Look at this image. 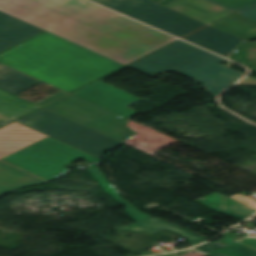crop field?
<instances>
[{
  "label": "crop field",
  "mask_w": 256,
  "mask_h": 256,
  "mask_svg": "<svg viewBox=\"0 0 256 256\" xmlns=\"http://www.w3.org/2000/svg\"><path fill=\"white\" fill-rule=\"evenodd\" d=\"M209 254L214 256H256V251L236 242L226 248Z\"/></svg>",
  "instance_id": "obj_20"
},
{
  "label": "crop field",
  "mask_w": 256,
  "mask_h": 256,
  "mask_svg": "<svg viewBox=\"0 0 256 256\" xmlns=\"http://www.w3.org/2000/svg\"><path fill=\"white\" fill-rule=\"evenodd\" d=\"M0 10L124 65L177 40L84 0H0Z\"/></svg>",
  "instance_id": "obj_1"
},
{
  "label": "crop field",
  "mask_w": 256,
  "mask_h": 256,
  "mask_svg": "<svg viewBox=\"0 0 256 256\" xmlns=\"http://www.w3.org/2000/svg\"><path fill=\"white\" fill-rule=\"evenodd\" d=\"M254 217H256V216H254Z\"/></svg>",
  "instance_id": "obj_30"
},
{
  "label": "crop field",
  "mask_w": 256,
  "mask_h": 256,
  "mask_svg": "<svg viewBox=\"0 0 256 256\" xmlns=\"http://www.w3.org/2000/svg\"><path fill=\"white\" fill-rule=\"evenodd\" d=\"M128 67L146 73L156 78L157 73L176 71L191 79L197 80L203 83L208 91L213 95L218 94L226 89L228 86L217 82L209 77H206L200 73H197L189 68H186L180 64L170 61L164 57H161L155 53L129 65Z\"/></svg>",
  "instance_id": "obj_10"
},
{
  "label": "crop field",
  "mask_w": 256,
  "mask_h": 256,
  "mask_svg": "<svg viewBox=\"0 0 256 256\" xmlns=\"http://www.w3.org/2000/svg\"><path fill=\"white\" fill-rule=\"evenodd\" d=\"M211 26L238 36L246 41L256 39V21L248 19L237 13L211 24ZM249 29H252L253 31Z\"/></svg>",
  "instance_id": "obj_14"
},
{
  "label": "crop field",
  "mask_w": 256,
  "mask_h": 256,
  "mask_svg": "<svg viewBox=\"0 0 256 256\" xmlns=\"http://www.w3.org/2000/svg\"><path fill=\"white\" fill-rule=\"evenodd\" d=\"M72 95L126 118L136 115V111L127 106L142 100L101 81H97Z\"/></svg>",
  "instance_id": "obj_9"
},
{
  "label": "crop field",
  "mask_w": 256,
  "mask_h": 256,
  "mask_svg": "<svg viewBox=\"0 0 256 256\" xmlns=\"http://www.w3.org/2000/svg\"><path fill=\"white\" fill-rule=\"evenodd\" d=\"M180 38L206 26L149 0H93Z\"/></svg>",
  "instance_id": "obj_5"
},
{
  "label": "crop field",
  "mask_w": 256,
  "mask_h": 256,
  "mask_svg": "<svg viewBox=\"0 0 256 256\" xmlns=\"http://www.w3.org/2000/svg\"><path fill=\"white\" fill-rule=\"evenodd\" d=\"M17 122L98 158L123 144L44 108Z\"/></svg>",
  "instance_id": "obj_3"
},
{
  "label": "crop field",
  "mask_w": 256,
  "mask_h": 256,
  "mask_svg": "<svg viewBox=\"0 0 256 256\" xmlns=\"http://www.w3.org/2000/svg\"><path fill=\"white\" fill-rule=\"evenodd\" d=\"M44 108L120 142L137 133L126 126L129 119L123 117L119 118L116 114L108 112L72 95Z\"/></svg>",
  "instance_id": "obj_6"
},
{
  "label": "crop field",
  "mask_w": 256,
  "mask_h": 256,
  "mask_svg": "<svg viewBox=\"0 0 256 256\" xmlns=\"http://www.w3.org/2000/svg\"><path fill=\"white\" fill-rule=\"evenodd\" d=\"M81 157L93 163L101 161L94 156L48 137L2 160L46 180H51L69 171L64 166Z\"/></svg>",
  "instance_id": "obj_4"
},
{
  "label": "crop field",
  "mask_w": 256,
  "mask_h": 256,
  "mask_svg": "<svg viewBox=\"0 0 256 256\" xmlns=\"http://www.w3.org/2000/svg\"><path fill=\"white\" fill-rule=\"evenodd\" d=\"M184 39L204 47L212 52H215L221 56L231 52L244 41L240 38L217 30L211 26H208Z\"/></svg>",
  "instance_id": "obj_12"
},
{
  "label": "crop field",
  "mask_w": 256,
  "mask_h": 256,
  "mask_svg": "<svg viewBox=\"0 0 256 256\" xmlns=\"http://www.w3.org/2000/svg\"><path fill=\"white\" fill-rule=\"evenodd\" d=\"M41 82L0 63V89L18 95Z\"/></svg>",
  "instance_id": "obj_16"
},
{
  "label": "crop field",
  "mask_w": 256,
  "mask_h": 256,
  "mask_svg": "<svg viewBox=\"0 0 256 256\" xmlns=\"http://www.w3.org/2000/svg\"><path fill=\"white\" fill-rule=\"evenodd\" d=\"M237 13H239L241 15H244L246 17H249L253 20H256V7L251 8V9H247V10H243V11H239Z\"/></svg>",
  "instance_id": "obj_23"
},
{
  "label": "crop field",
  "mask_w": 256,
  "mask_h": 256,
  "mask_svg": "<svg viewBox=\"0 0 256 256\" xmlns=\"http://www.w3.org/2000/svg\"><path fill=\"white\" fill-rule=\"evenodd\" d=\"M233 11L256 5V0H209Z\"/></svg>",
  "instance_id": "obj_21"
},
{
  "label": "crop field",
  "mask_w": 256,
  "mask_h": 256,
  "mask_svg": "<svg viewBox=\"0 0 256 256\" xmlns=\"http://www.w3.org/2000/svg\"><path fill=\"white\" fill-rule=\"evenodd\" d=\"M0 61L67 92L124 66L48 31L0 55Z\"/></svg>",
  "instance_id": "obj_2"
},
{
  "label": "crop field",
  "mask_w": 256,
  "mask_h": 256,
  "mask_svg": "<svg viewBox=\"0 0 256 256\" xmlns=\"http://www.w3.org/2000/svg\"><path fill=\"white\" fill-rule=\"evenodd\" d=\"M40 107L0 90V114L12 120Z\"/></svg>",
  "instance_id": "obj_18"
},
{
  "label": "crop field",
  "mask_w": 256,
  "mask_h": 256,
  "mask_svg": "<svg viewBox=\"0 0 256 256\" xmlns=\"http://www.w3.org/2000/svg\"><path fill=\"white\" fill-rule=\"evenodd\" d=\"M226 246H228V245L217 241L214 244L208 243V244H205V245L198 246V247H196L194 249L195 250H199V251H203V252H206V253H209V252L218 250V249L226 247Z\"/></svg>",
  "instance_id": "obj_22"
},
{
  "label": "crop field",
  "mask_w": 256,
  "mask_h": 256,
  "mask_svg": "<svg viewBox=\"0 0 256 256\" xmlns=\"http://www.w3.org/2000/svg\"><path fill=\"white\" fill-rule=\"evenodd\" d=\"M241 242L246 244V245H248V246H250V247L256 248V239H249V238H247V239H245V240H243Z\"/></svg>",
  "instance_id": "obj_26"
},
{
  "label": "crop field",
  "mask_w": 256,
  "mask_h": 256,
  "mask_svg": "<svg viewBox=\"0 0 256 256\" xmlns=\"http://www.w3.org/2000/svg\"><path fill=\"white\" fill-rule=\"evenodd\" d=\"M155 53L209 76L228 86L244 75L218 64L225 59L181 40Z\"/></svg>",
  "instance_id": "obj_8"
},
{
  "label": "crop field",
  "mask_w": 256,
  "mask_h": 256,
  "mask_svg": "<svg viewBox=\"0 0 256 256\" xmlns=\"http://www.w3.org/2000/svg\"><path fill=\"white\" fill-rule=\"evenodd\" d=\"M88 170L93 174L99 184L104 188L106 193L112 195L117 201L126 205V211L131 215V217L135 221L145 220L151 218L147 214H144L127 200H125L122 196L119 195L114 186L110 183V181L105 177V175L101 172L97 165L88 168Z\"/></svg>",
  "instance_id": "obj_19"
},
{
  "label": "crop field",
  "mask_w": 256,
  "mask_h": 256,
  "mask_svg": "<svg viewBox=\"0 0 256 256\" xmlns=\"http://www.w3.org/2000/svg\"><path fill=\"white\" fill-rule=\"evenodd\" d=\"M67 93H64V92H61V93H59V94H57V95H55V96H53V97H51V98H49V99H47V100H45V101H43V102H41V103H39V104H37V105H39V106H44V105H46V104H48V103H50V102H52V101H54V100H56V99H58V98H60V97H62V96H64V95H66Z\"/></svg>",
  "instance_id": "obj_25"
},
{
  "label": "crop field",
  "mask_w": 256,
  "mask_h": 256,
  "mask_svg": "<svg viewBox=\"0 0 256 256\" xmlns=\"http://www.w3.org/2000/svg\"><path fill=\"white\" fill-rule=\"evenodd\" d=\"M43 31L0 11V53Z\"/></svg>",
  "instance_id": "obj_11"
},
{
  "label": "crop field",
  "mask_w": 256,
  "mask_h": 256,
  "mask_svg": "<svg viewBox=\"0 0 256 256\" xmlns=\"http://www.w3.org/2000/svg\"><path fill=\"white\" fill-rule=\"evenodd\" d=\"M188 252H194L191 249L186 250V251H182V252H178V253H172V254H165V255H160V256H180L182 254L188 253Z\"/></svg>",
  "instance_id": "obj_27"
},
{
  "label": "crop field",
  "mask_w": 256,
  "mask_h": 256,
  "mask_svg": "<svg viewBox=\"0 0 256 256\" xmlns=\"http://www.w3.org/2000/svg\"><path fill=\"white\" fill-rule=\"evenodd\" d=\"M164 6L207 24L233 12L207 0H174Z\"/></svg>",
  "instance_id": "obj_13"
},
{
  "label": "crop field",
  "mask_w": 256,
  "mask_h": 256,
  "mask_svg": "<svg viewBox=\"0 0 256 256\" xmlns=\"http://www.w3.org/2000/svg\"><path fill=\"white\" fill-rule=\"evenodd\" d=\"M237 85H241V86H255L256 87V78L246 77L241 82H239Z\"/></svg>",
  "instance_id": "obj_24"
},
{
  "label": "crop field",
  "mask_w": 256,
  "mask_h": 256,
  "mask_svg": "<svg viewBox=\"0 0 256 256\" xmlns=\"http://www.w3.org/2000/svg\"><path fill=\"white\" fill-rule=\"evenodd\" d=\"M152 1L157 2V3L161 4V5H163V4H165V3H167V2H169L171 0H152Z\"/></svg>",
  "instance_id": "obj_29"
},
{
  "label": "crop field",
  "mask_w": 256,
  "mask_h": 256,
  "mask_svg": "<svg viewBox=\"0 0 256 256\" xmlns=\"http://www.w3.org/2000/svg\"><path fill=\"white\" fill-rule=\"evenodd\" d=\"M45 137L47 136L15 122L0 130V159ZM45 182L48 181L0 160V195Z\"/></svg>",
  "instance_id": "obj_7"
},
{
  "label": "crop field",
  "mask_w": 256,
  "mask_h": 256,
  "mask_svg": "<svg viewBox=\"0 0 256 256\" xmlns=\"http://www.w3.org/2000/svg\"><path fill=\"white\" fill-rule=\"evenodd\" d=\"M119 229L122 231L145 230L151 234L158 232V231H162V230H171V231L183 236L187 241L190 242L191 245L207 241L206 239H203L187 230L170 226V225L165 224L161 221H158L154 218L150 219V220L136 222L129 226L121 227Z\"/></svg>",
  "instance_id": "obj_17"
},
{
  "label": "crop field",
  "mask_w": 256,
  "mask_h": 256,
  "mask_svg": "<svg viewBox=\"0 0 256 256\" xmlns=\"http://www.w3.org/2000/svg\"><path fill=\"white\" fill-rule=\"evenodd\" d=\"M196 201L237 219L247 218L255 212V210L219 193L198 199Z\"/></svg>",
  "instance_id": "obj_15"
},
{
  "label": "crop field",
  "mask_w": 256,
  "mask_h": 256,
  "mask_svg": "<svg viewBox=\"0 0 256 256\" xmlns=\"http://www.w3.org/2000/svg\"><path fill=\"white\" fill-rule=\"evenodd\" d=\"M10 121H12V120H10V119L0 115V126L4 125V124H6V123H8Z\"/></svg>",
  "instance_id": "obj_28"
}]
</instances>
